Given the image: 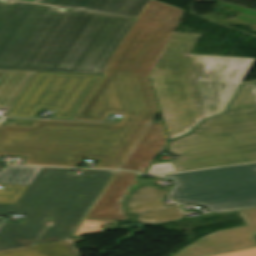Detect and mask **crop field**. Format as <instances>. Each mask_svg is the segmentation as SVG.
<instances>
[{
    "mask_svg": "<svg viewBox=\"0 0 256 256\" xmlns=\"http://www.w3.org/2000/svg\"><path fill=\"white\" fill-rule=\"evenodd\" d=\"M167 176L179 183L175 202L205 206L212 214L256 207V163Z\"/></svg>",
    "mask_w": 256,
    "mask_h": 256,
    "instance_id": "6",
    "label": "crop field"
},
{
    "mask_svg": "<svg viewBox=\"0 0 256 256\" xmlns=\"http://www.w3.org/2000/svg\"><path fill=\"white\" fill-rule=\"evenodd\" d=\"M27 186L4 185L0 190V203L16 204Z\"/></svg>",
    "mask_w": 256,
    "mask_h": 256,
    "instance_id": "14",
    "label": "crop field"
},
{
    "mask_svg": "<svg viewBox=\"0 0 256 256\" xmlns=\"http://www.w3.org/2000/svg\"><path fill=\"white\" fill-rule=\"evenodd\" d=\"M253 88H256L255 82L254 83L241 84L238 90L253 89Z\"/></svg>",
    "mask_w": 256,
    "mask_h": 256,
    "instance_id": "18",
    "label": "crop field"
},
{
    "mask_svg": "<svg viewBox=\"0 0 256 256\" xmlns=\"http://www.w3.org/2000/svg\"><path fill=\"white\" fill-rule=\"evenodd\" d=\"M115 171L83 170L79 176L67 169L41 168L16 205L0 204V216L28 215L22 224L3 222L0 256H79L73 243L80 237L30 246L52 218L35 244L69 237L87 209Z\"/></svg>",
    "mask_w": 256,
    "mask_h": 256,
    "instance_id": "3",
    "label": "crop field"
},
{
    "mask_svg": "<svg viewBox=\"0 0 256 256\" xmlns=\"http://www.w3.org/2000/svg\"><path fill=\"white\" fill-rule=\"evenodd\" d=\"M1 225V224H0Z\"/></svg>",
    "mask_w": 256,
    "mask_h": 256,
    "instance_id": "21",
    "label": "crop field"
},
{
    "mask_svg": "<svg viewBox=\"0 0 256 256\" xmlns=\"http://www.w3.org/2000/svg\"><path fill=\"white\" fill-rule=\"evenodd\" d=\"M5 218H0V223H2L4 221Z\"/></svg>",
    "mask_w": 256,
    "mask_h": 256,
    "instance_id": "19",
    "label": "crop field"
},
{
    "mask_svg": "<svg viewBox=\"0 0 256 256\" xmlns=\"http://www.w3.org/2000/svg\"><path fill=\"white\" fill-rule=\"evenodd\" d=\"M34 74L0 70V108H11Z\"/></svg>",
    "mask_w": 256,
    "mask_h": 256,
    "instance_id": "12",
    "label": "crop field"
},
{
    "mask_svg": "<svg viewBox=\"0 0 256 256\" xmlns=\"http://www.w3.org/2000/svg\"><path fill=\"white\" fill-rule=\"evenodd\" d=\"M166 143L163 125L150 124L121 169L146 172L149 162L163 151Z\"/></svg>",
    "mask_w": 256,
    "mask_h": 256,
    "instance_id": "11",
    "label": "crop field"
},
{
    "mask_svg": "<svg viewBox=\"0 0 256 256\" xmlns=\"http://www.w3.org/2000/svg\"><path fill=\"white\" fill-rule=\"evenodd\" d=\"M101 75L36 72L7 116L35 118L40 108L52 119L72 120Z\"/></svg>",
    "mask_w": 256,
    "mask_h": 256,
    "instance_id": "7",
    "label": "crop field"
},
{
    "mask_svg": "<svg viewBox=\"0 0 256 256\" xmlns=\"http://www.w3.org/2000/svg\"><path fill=\"white\" fill-rule=\"evenodd\" d=\"M40 167L6 166L0 172V184L29 185Z\"/></svg>",
    "mask_w": 256,
    "mask_h": 256,
    "instance_id": "13",
    "label": "crop field"
},
{
    "mask_svg": "<svg viewBox=\"0 0 256 256\" xmlns=\"http://www.w3.org/2000/svg\"><path fill=\"white\" fill-rule=\"evenodd\" d=\"M214 256H256V247L255 248H249Z\"/></svg>",
    "mask_w": 256,
    "mask_h": 256,
    "instance_id": "17",
    "label": "crop field"
},
{
    "mask_svg": "<svg viewBox=\"0 0 256 256\" xmlns=\"http://www.w3.org/2000/svg\"><path fill=\"white\" fill-rule=\"evenodd\" d=\"M177 171L256 161V89L237 91L227 111L168 145Z\"/></svg>",
    "mask_w": 256,
    "mask_h": 256,
    "instance_id": "5",
    "label": "crop field"
},
{
    "mask_svg": "<svg viewBox=\"0 0 256 256\" xmlns=\"http://www.w3.org/2000/svg\"><path fill=\"white\" fill-rule=\"evenodd\" d=\"M116 223L110 221H94V220H83L78 229L75 232V236L85 235L90 233L102 232L103 230L99 225Z\"/></svg>",
    "mask_w": 256,
    "mask_h": 256,
    "instance_id": "15",
    "label": "crop field"
},
{
    "mask_svg": "<svg viewBox=\"0 0 256 256\" xmlns=\"http://www.w3.org/2000/svg\"><path fill=\"white\" fill-rule=\"evenodd\" d=\"M26 1H30V2H32V1H34V0H26Z\"/></svg>",
    "mask_w": 256,
    "mask_h": 256,
    "instance_id": "20",
    "label": "crop field"
},
{
    "mask_svg": "<svg viewBox=\"0 0 256 256\" xmlns=\"http://www.w3.org/2000/svg\"><path fill=\"white\" fill-rule=\"evenodd\" d=\"M174 172L170 162L152 164L148 169V174H162Z\"/></svg>",
    "mask_w": 256,
    "mask_h": 256,
    "instance_id": "16",
    "label": "crop field"
},
{
    "mask_svg": "<svg viewBox=\"0 0 256 256\" xmlns=\"http://www.w3.org/2000/svg\"><path fill=\"white\" fill-rule=\"evenodd\" d=\"M198 37L172 33L150 75L169 140L223 112L255 61L189 54Z\"/></svg>",
    "mask_w": 256,
    "mask_h": 256,
    "instance_id": "4",
    "label": "crop field"
},
{
    "mask_svg": "<svg viewBox=\"0 0 256 256\" xmlns=\"http://www.w3.org/2000/svg\"><path fill=\"white\" fill-rule=\"evenodd\" d=\"M136 175L130 172H117L101 197L85 218L124 220L127 216L119 205L124 193L135 184Z\"/></svg>",
    "mask_w": 256,
    "mask_h": 256,
    "instance_id": "10",
    "label": "crop field"
},
{
    "mask_svg": "<svg viewBox=\"0 0 256 256\" xmlns=\"http://www.w3.org/2000/svg\"><path fill=\"white\" fill-rule=\"evenodd\" d=\"M247 226L214 232L200 238L174 256H206L255 246L251 232L256 231V208L238 211Z\"/></svg>",
    "mask_w": 256,
    "mask_h": 256,
    "instance_id": "8",
    "label": "crop field"
},
{
    "mask_svg": "<svg viewBox=\"0 0 256 256\" xmlns=\"http://www.w3.org/2000/svg\"><path fill=\"white\" fill-rule=\"evenodd\" d=\"M183 10L150 0L110 58L100 80L73 120H36L32 127L0 125V154L30 156L24 164L76 167L82 157L99 160L94 168L117 169L157 115L148 76Z\"/></svg>",
    "mask_w": 256,
    "mask_h": 256,
    "instance_id": "1",
    "label": "crop field"
},
{
    "mask_svg": "<svg viewBox=\"0 0 256 256\" xmlns=\"http://www.w3.org/2000/svg\"><path fill=\"white\" fill-rule=\"evenodd\" d=\"M148 1L0 2V68L98 74Z\"/></svg>",
    "mask_w": 256,
    "mask_h": 256,
    "instance_id": "2",
    "label": "crop field"
},
{
    "mask_svg": "<svg viewBox=\"0 0 256 256\" xmlns=\"http://www.w3.org/2000/svg\"><path fill=\"white\" fill-rule=\"evenodd\" d=\"M167 194L166 190L147 186L141 187L129 195L127 208L131 214L151 211V213L136 216L137 222L142 225L184 218L177 206L164 207L159 202Z\"/></svg>",
    "mask_w": 256,
    "mask_h": 256,
    "instance_id": "9",
    "label": "crop field"
}]
</instances>
